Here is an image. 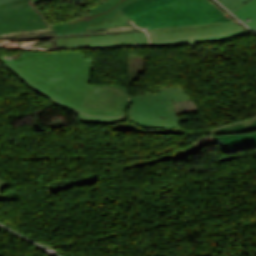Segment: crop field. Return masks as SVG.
I'll list each match as a JSON object with an SVG mask.
<instances>
[{"instance_id":"1","label":"crop field","mask_w":256,"mask_h":256,"mask_svg":"<svg viewBox=\"0 0 256 256\" xmlns=\"http://www.w3.org/2000/svg\"><path fill=\"white\" fill-rule=\"evenodd\" d=\"M2 60L60 103L88 114L122 115L127 91L114 85L90 84L93 61L81 52H25Z\"/></svg>"},{"instance_id":"2","label":"crop field","mask_w":256,"mask_h":256,"mask_svg":"<svg viewBox=\"0 0 256 256\" xmlns=\"http://www.w3.org/2000/svg\"><path fill=\"white\" fill-rule=\"evenodd\" d=\"M132 18L155 46L226 40L245 32L207 0H138L113 18L86 28L117 26Z\"/></svg>"},{"instance_id":"3","label":"crop field","mask_w":256,"mask_h":256,"mask_svg":"<svg viewBox=\"0 0 256 256\" xmlns=\"http://www.w3.org/2000/svg\"><path fill=\"white\" fill-rule=\"evenodd\" d=\"M123 89L128 94L121 122L126 121V111L131 106L128 117L132 123L142 127L182 128L172 102L191 99L185 88H158L159 93L138 96H131L129 89Z\"/></svg>"},{"instance_id":"4","label":"crop field","mask_w":256,"mask_h":256,"mask_svg":"<svg viewBox=\"0 0 256 256\" xmlns=\"http://www.w3.org/2000/svg\"><path fill=\"white\" fill-rule=\"evenodd\" d=\"M27 1L15 0L0 5V34L46 28L42 18L28 5Z\"/></svg>"},{"instance_id":"5","label":"crop field","mask_w":256,"mask_h":256,"mask_svg":"<svg viewBox=\"0 0 256 256\" xmlns=\"http://www.w3.org/2000/svg\"><path fill=\"white\" fill-rule=\"evenodd\" d=\"M135 0H109L92 9L88 15L81 16L68 21L53 24L57 35L84 31L85 26L109 19L114 16L121 8Z\"/></svg>"},{"instance_id":"6","label":"crop field","mask_w":256,"mask_h":256,"mask_svg":"<svg viewBox=\"0 0 256 256\" xmlns=\"http://www.w3.org/2000/svg\"><path fill=\"white\" fill-rule=\"evenodd\" d=\"M135 42L140 44H148L147 34L145 32H139L111 36L57 38L58 48L128 45Z\"/></svg>"},{"instance_id":"7","label":"crop field","mask_w":256,"mask_h":256,"mask_svg":"<svg viewBox=\"0 0 256 256\" xmlns=\"http://www.w3.org/2000/svg\"><path fill=\"white\" fill-rule=\"evenodd\" d=\"M0 61L2 62V64L7 69H9L11 72H13L19 79H21L23 82H25L27 85H29V87H31L33 90H35L39 94L47 97L53 104H55L57 106H60V107H66V106L56 102L55 100H53L52 98H50L46 94L42 93L41 91H39L35 87H33L25 79H23L20 75H18L14 70H12L7 64H5L2 60H0ZM66 108H68V107H66ZM68 109L72 110L75 114L79 115V122L109 123V124H113V123H120V119H121V117H113V116L88 115V114L82 113L80 111L71 109V108H68Z\"/></svg>"},{"instance_id":"8","label":"crop field","mask_w":256,"mask_h":256,"mask_svg":"<svg viewBox=\"0 0 256 256\" xmlns=\"http://www.w3.org/2000/svg\"><path fill=\"white\" fill-rule=\"evenodd\" d=\"M213 137L221 147L222 151L256 144V132Z\"/></svg>"},{"instance_id":"9","label":"crop field","mask_w":256,"mask_h":256,"mask_svg":"<svg viewBox=\"0 0 256 256\" xmlns=\"http://www.w3.org/2000/svg\"><path fill=\"white\" fill-rule=\"evenodd\" d=\"M256 131V118L211 130L212 135L238 134Z\"/></svg>"},{"instance_id":"10","label":"crop field","mask_w":256,"mask_h":256,"mask_svg":"<svg viewBox=\"0 0 256 256\" xmlns=\"http://www.w3.org/2000/svg\"><path fill=\"white\" fill-rule=\"evenodd\" d=\"M236 16H238L241 20L246 22L245 20L253 19L256 17V0H250L233 12Z\"/></svg>"},{"instance_id":"11","label":"crop field","mask_w":256,"mask_h":256,"mask_svg":"<svg viewBox=\"0 0 256 256\" xmlns=\"http://www.w3.org/2000/svg\"><path fill=\"white\" fill-rule=\"evenodd\" d=\"M219 1L222 2L228 9H230L233 12L248 0H219Z\"/></svg>"},{"instance_id":"12","label":"crop field","mask_w":256,"mask_h":256,"mask_svg":"<svg viewBox=\"0 0 256 256\" xmlns=\"http://www.w3.org/2000/svg\"><path fill=\"white\" fill-rule=\"evenodd\" d=\"M9 185H11V184L6 181L0 180V201L4 200V196L1 195V190H4Z\"/></svg>"},{"instance_id":"13","label":"crop field","mask_w":256,"mask_h":256,"mask_svg":"<svg viewBox=\"0 0 256 256\" xmlns=\"http://www.w3.org/2000/svg\"><path fill=\"white\" fill-rule=\"evenodd\" d=\"M246 24L249 25V27L252 30L256 31V18L251 20V21H249V22H246Z\"/></svg>"},{"instance_id":"14","label":"crop field","mask_w":256,"mask_h":256,"mask_svg":"<svg viewBox=\"0 0 256 256\" xmlns=\"http://www.w3.org/2000/svg\"><path fill=\"white\" fill-rule=\"evenodd\" d=\"M9 1H12V0H0V4L6 3V2H9Z\"/></svg>"},{"instance_id":"15","label":"crop field","mask_w":256,"mask_h":256,"mask_svg":"<svg viewBox=\"0 0 256 256\" xmlns=\"http://www.w3.org/2000/svg\"><path fill=\"white\" fill-rule=\"evenodd\" d=\"M39 1H44V0H34V2H39Z\"/></svg>"}]
</instances>
